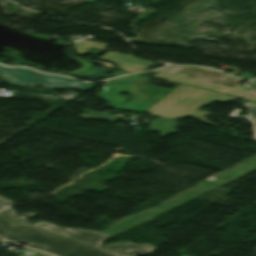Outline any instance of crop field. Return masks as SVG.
Returning a JSON list of instances; mask_svg holds the SVG:
<instances>
[{"mask_svg": "<svg viewBox=\"0 0 256 256\" xmlns=\"http://www.w3.org/2000/svg\"><path fill=\"white\" fill-rule=\"evenodd\" d=\"M248 100H251V101H253V102H256V94L253 95L252 97H250Z\"/></svg>", "mask_w": 256, "mask_h": 256, "instance_id": "14", "label": "crop field"}, {"mask_svg": "<svg viewBox=\"0 0 256 256\" xmlns=\"http://www.w3.org/2000/svg\"><path fill=\"white\" fill-rule=\"evenodd\" d=\"M98 58L117 64L119 69L131 71V72L142 71L148 68L149 66L155 64L152 62L135 58L133 56L115 53L111 51L105 53L104 55Z\"/></svg>", "mask_w": 256, "mask_h": 256, "instance_id": "6", "label": "crop field"}, {"mask_svg": "<svg viewBox=\"0 0 256 256\" xmlns=\"http://www.w3.org/2000/svg\"><path fill=\"white\" fill-rule=\"evenodd\" d=\"M34 213L30 214H22L18 215L13 209L10 207L0 211V216L10 219L16 223L31 226L37 229H41L47 232H51L60 236H64L67 238H71L77 241H81L93 246H100V244L103 242L105 238H107L109 235H106L104 233L90 231V230H84V229H66L62 227H57L54 224L38 221L36 224L32 225L29 224L26 220L23 218L33 216Z\"/></svg>", "mask_w": 256, "mask_h": 256, "instance_id": "4", "label": "crop field"}, {"mask_svg": "<svg viewBox=\"0 0 256 256\" xmlns=\"http://www.w3.org/2000/svg\"><path fill=\"white\" fill-rule=\"evenodd\" d=\"M83 111H86V110H83ZM86 112H89L90 114H86ZM83 115H80L79 118H84V119H106V120H112L114 121V119H120L119 116H113V115H109V114H106V113H101V112H92V111H86ZM116 117V118H113V117Z\"/></svg>", "mask_w": 256, "mask_h": 256, "instance_id": "9", "label": "crop field"}, {"mask_svg": "<svg viewBox=\"0 0 256 256\" xmlns=\"http://www.w3.org/2000/svg\"><path fill=\"white\" fill-rule=\"evenodd\" d=\"M74 46H75L76 53L81 54L91 46L97 47V48H100V49H104L106 46H108V44L96 43V42L82 40V41L74 44Z\"/></svg>", "mask_w": 256, "mask_h": 256, "instance_id": "8", "label": "crop field"}, {"mask_svg": "<svg viewBox=\"0 0 256 256\" xmlns=\"http://www.w3.org/2000/svg\"><path fill=\"white\" fill-rule=\"evenodd\" d=\"M0 75L8 78L11 85H29L33 82H41L49 87H61L69 85L73 79L51 74H41L26 68H4L0 66Z\"/></svg>", "mask_w": 256, "mask_h": 256, "instance_id": "5", "label": "crop field"}, {"mask_svg": "<svg viewBox=\"0 0 256 256\" xmlns=\"http://www.w3.org/2000/svg\"><path fill=\"white\" fill-rule=\"evenodd\" d=\"M246 107L249 109L250 113L247 116H234L237 112L235 110L230 116L228 117H248L249 120H251L254 124L255 127L253 128L256 131V105L251 104V103H244Z\"/></svg>", "mask_w": 256, "mask_h": 256, "instance_id": "10", "label": "crop field"}, {"mask_svg": "<svg viewBox=\"0 0 256 256\" xmlns=\"http://www.w3.org/2000/svg\"><path fill=\"white\" fill-rule=\"evenodd\" d=\"M129 72H125V71H121V72H117L115 74H112V77L116 76V75H123V74H127Z\"/></svg>", "mask_w": 256, "mask_h": 256, "instance_id": "13", "label": "crop field"}, {"mask_svg": "<svg viewBox=\"0 0 256 256\" xmlns=\"http://www.w3.org/2000/svg\"><path fill=\"white\" fill-rule=\"evenodd\" d=\"M69 86H74V87H79V88H85L88 89L90 88L92 85L90 83H83V82H73L71 85Z\"/></svg>", "mask_w": 256, "mask_h": 256, "instance_id": "11", "label": "crop field"}, {"mask_svg": "<svg viewBox=\"0 0 256 256\" xmlns=\"http://www.w3.org/2000/svg\"><path fill=\"white\" fill-rule=\"evenodd\" d=\"M10 204H12L11 201H9L8 199H6V198L0 196V209L3 208V207H5V206H7V205H10ZM7 207H8V206H7Z\"/></svg>", "mask_w": 256, "mask_h": 256, "instance_id": "12", "label": "crop field"}, {"mask_svg": "<svg viewBox=\"0 0 256 256\" xmlns=\"http://www.w3.org/2000/svg\"><path fill=\"white\" fill-rule=\"evenodd\" d=\"M95 0H86L85 2L93 3Z\"/></svg>", "mask_w": 256, "mask_h": 256, "instance_id": "15", "label": "crop field"}, {"mask_svg": "<svg viewBox=\"0 0 256 256\" xmlns=\"http://www.w3.org/2000/svg\"><path fill=\"white\" fill-rule=\"evenodd\" d=\"M154 76L223 93L243 81L203 67H167Z\"/></svg>", "mask_w": 256, "mask_h": 256, "instance_id": "3", "label": "crop field"}, {"mask_svg": "<svg viewBox=\"0 0 256 256\" xmlns=\"http://www.w3.org/2000/svg\"><path fill=\"white\" fill-rule=\"evenodd\" d=\"M0 237L56 256H133L153 252L157 247L149 244L135 245L131 242L89 248L85 245L56 237L32 228L14 224L0 218Z\"/></svg>", "mask_w": 256, "mask_h": 256, "instance_id": "1", "label": "crop field"}, {"mask_svg": "<svg viewBox=\"0 0 256 256\" xmlns=\"http://www.w3.org/2000/svg\"><path fill=\"white\" fill-rule=\"evenodd\" d=\"M235 98L215 92L180 85L147 112L159 117L181 118L192 117L202 122L209 113L195 110L213 101L229 102ZM210 105V104H209Z\"/></svg>", "mask_w": 256, "mask_h": 256, "instance_id": "2", "label": "crop field"}, {"mask_svg": "<svg viewBox=\"0 0 256 256\" xmlns=\"http://www.w3.org/2000/svg\"><path fill=\"white\" fill-rule=\"evenodd\" d=\"M162 120V127L157 125ZM178 119H156L151 122L150 131L161 132L160 137L164 138L169 133H175ZM166 121V123H164Z\"/></svg>", "mask_w": 256, "mask_h": 256, "instance_id": "7", "label": "crop field"}]
</instances>
